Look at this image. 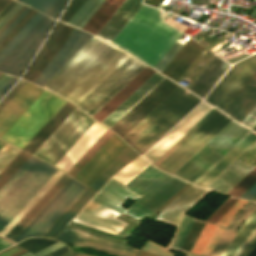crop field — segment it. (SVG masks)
<instances>
[{"label":"crop field","mask_w":256,"mask_h":256,"mask_svg":"<svg viewBox=\"0 0 256 256\" xmlns=\"http://www.w3.org/2000/svg\"><path fill=\"white\" fill-rule=\"evenodd\" d=\"M255 195H256V185L249 192H247L242 198L251 200Z\"/></svg>","instance_id":"crop-field-62"},{"label":"crop field","mask_w":256,"mask_h":256,"mask_svg":"<svg viewBox=\"0 0 256 256\" xmlns=\"http://www.w3.org/2000/svg\"><path fill=\"white\" fill-rule=\"evenodd\" d=\"M22 256H32V255H30V254H24V255H22Z\"/></svg>","instance_id":"crop-field-74"},{"label":"crop field","mask_w":256,"mask_h":256,"mask_svg":"<svg viewBox=\"0 0 256 256\" xmlns=\"http://www.w3.org/2000/svg\"><path fill=\"white\" fill-rule=\"evenodd\" d=\"M53 21L37 12L0 52V71L19 77Z\"/></svg>","instance_id":"crop-field-7"},{"label":"crop field","mask_w":256,"mask_h":256,"mask_svg":"<svg viewBox=\"0 0 256 256\" xmlns=\"http://www.w3.org/2000/svg\"><path fill=\"white\" fill-rule=\"evenodd\" d=\"M36 11L24 6L10 21L0 29V51L30 20Z\"/></svg>","instance_id":"crop-field-32"},{"label":"crop field","mask_w":256,"mask_h":256,"mask_svg":"<svg viewBox=\"0 0 256 256\" xmlns=\"http://www.w3.org/2000/svg\"><path fill=\"white\" fill-rule=\"evenodd\" d=\"M63 246H64L63 244L57 242V243H55V244H53V245H51V246H49V247H47V248L37 252L35 254H37L38 256H45V255H47V254H49V253H51V252H53V251L63 247Z\"/></svg>","instance_id":"crop-field-58"},{"label":"crop field","mask_w":256,"mask_h":256,"mask_svg":"<svg viewBox=\"0 0 256 256\" xmlns=\"http://www.w3.org/2000/svg\"><path fill=\"white\" fill-rule=\"evenodd\" d=\"M256 234V230L254 231V233L249 237V239L244 243V245L241 247V249L238 251V253L236 254V256H239V254L241 253V251L243 250V248L247 245V243L252 239V237Z\"/></svg>","instance_id":"crop-field-66"},{"label":"crop field","mask_w":256,"mask_h":256,"mask_svg":"<svg viewBox=\"0 0 256 256\" xmlns=\"http://www.w3.org/2000/svg\"><path fill=\"white\" fill-rule=\"evenodd\" d=\"M244 130V127L231 120L181 168H179L174 175L189 181ZM250 133L251 131L246 129L189 182L195 184Z\"/></svg>","instance_id":"crop-field-6"},{"label":"crop field","mask_w":256,"mask_h":256,"mask_svg":"<svg viewBox=\"0 0 256 256\" xmlns=\"http://www.w3.org/2000/svg\"><path fill=\"white\" fill-rule=\"evenodd\" d=\"M138 155L139 154L127 145L88 188L97 192L113 174Z\"/></svg>","instance_id":"crop-field-29"},{"label":"crop field","mask_w":256,"mask_h":256,"mask_svg":"<svg viewBox=\"0 0 256 256\" xmlns=\"http://www.w3.org/2000/svg\"><path fill=\"white\" fill-rule=\"evenodd\" d=\"M256 165V141L206 188L225 194Z\"/></svg>","instance_id":"crop-field-15"},{"label":"crop field","mask_w":256,"mask_h":256,"mask_svg":"<svg viewBox=\"0 0 256 256\" xmlns=\"http://www.w3.org/2000/svg\"><path fill=\"white\" fill-rule=\"evenodd\" d=\"M177 86L165 78L110 129L122 138Z\"/></svg>","instance_id":"crop-field-13"},{"label":"crop field","mask_w":256,"mask_h":256,"mask_svg":"<svg viewBox=\"0 0 256 256\" xmlns=\"http://www.w3.org/2000/svg\"><path fill=\"white\" fill-rule=\"evenodd\" d=\"M249 128H253L256 124V106L254 109L249 113V115L244 119V121L241 123Z\"/></svg>","instance_id":"crop-field-55"},{"label":"crop field","mask_w":256,"mask_h":256,"mask_svg":"<svg viewBox=\"0 0 256 256\" xmlns=\"http://www.w3.org/2000/svg\"><path fill=\"white\" fill-rule=\"evenodd\" d=\"M11 78V76H8L4 74L2 78L0 79V89L5 85V83Z\"/></svg>","instance_id":"crop-field-64"},{"label":"crop field","mask_w":256,"mask_h":256,"mask_svg":"<svg viewBox=\"0 0 256 256\" xmlns=\"http://www.w3.org/2000/svg\"><path fill=\"white\" fill-rule=\"evenodd\" d=\"M255 74L256 55L233 65L205 100L224 112Z\"/></svg>","instance_id":"crop-field-10"},{"label":"crop field","mask_w":256,"mask_h":256,"mask_svg":"<svg viewBox=\"0 0 256 256\" xmlns=\"http://www.w3.org/2000/svg\"><path fill=\"white\" fill-rule=\"evenodd\" d=\"M97 122V121H96ZM94 123L89 130L76 142V144L62 157L55 165L64 171H68L72 165L86 152V150L99 138L107 129L98 123ZM65 172V173H66Z\"/></svg>","instance_id":"crop-field-25"},{"label":"crop field","mask_w":256,"mask_h":256,"mask_svg":"<svg viewBox=\"0 0 256 256\" xmlns=\"http://www.w3.org/2000/svg\"><path fill=\"white\" fill-rule=\"evenodd\" d=\"M26 84L24 81H20L12 91L0 102V111L4 106L19 92V90Z\"/></svg>","instance_id":"crop-field-54"},{"label":"crop field","mask_w":256,"mask_h":256,"mask_svg":"<svg viewBox=\"0 0 256 256\" xmlns=\"http://www.w3.org/2000/svg\"><path fill=\"white\" fill-rule=\"evenodd\" d=\"M91 37L92 35L76 29L34 83L43 86Z\"/></svg>","instance_id":"crop-field-18"},{"label":"crop field","mask_w":256,"mask_h":256,"mask_svg":"<svg viewBox=\"0 0 256 256\" xmlns=\"http://www.w3.org/2000/svg\"><path fill=\"white\" fill-rule=\"evenodd\" d=\"M256 218V208L250 213V215L246 218L245 222L241 226V228L238 230L234 238L231 240L225 251L221 256H227L231 249L234 247V245L237 243V241L240 239V237L244 234V232L247 230V228L251 225V223Z\"/></svg>","instance_id":"crop-field-46"},{"label":"crop field","mask_w":256,"mask_h":256,"mask_svg":"<svg viewBox=\"0 0 256 256\" xmlns=\"http://www.w3.org/2000/svg\"><path fill=\"white\" fill-rule=\"evenodd\" d=\"M70 179L63 174L4 237L13 241Z\"/></svg>","instance_id":"crop-field-24"},{"label":"crop field","mask_w":256,"mask_h":256,"mask_svg":"<svg viewBox=\"0 0 256 256\" xmlns=\"http://www.w3.org/2000/svg\"><path fill=\"white\" fill-rule=\"evenodd\" d=\"M236 198L228 197L207 219L211 223L216 224L226 211L234 204Z\"/></svg>","instance_id":"crop-field-47"},{"label":"crop field","mask_w":256,"mask_h":256,"mask_svg":"<svg viewBox=\"0 0 256 256\" xmlns=\"http://www.w3.org/2000/svg\"><path fill=\"white\" fill-rule=\"evenodd\" d=\"M6 143L0 141V149L5 145Z\"/></svg>","instance_id":"crop-field-72"},{"label":"crop field","mask_w":256,"mask_h":256,"mask_svg":"<svg viewBox=\"0 0 256 256\" xmlns=\"http://www.w3.org/2000/svg\"><path fill=\"white\" fill-rule=\"evenodd\" d=\"M225 39V37H222V38H220L219 40H217L216 42H214L212 45H210L209 47H207V48H212L213 46H215L216 44H218L219 42H221L222 40H224Z\"/></svg>","instance_id":"crop-field-68"},{"label":"crop field","mask_w":256,"mask_h":256,"mask_svg":"<svg viewBox=\"0 0 256 256\" xmlns=\"http://www.w3.org/2000/svg\"><path fill=\"white\" fill-rule=\"evenodd\" d=\"M255 140H256V133L252 132L236 148H234L224 159H222L213 169H211L201 180H199L196 183V185L200 184L203 187H205L221 171H223L233 160H235L244 150H246Z\"/></svg>","instance_id":"crop-field-31"},{"label":"crop field","mask_w":256,"mask_h":256,"mask_svg":"<svg viewBox=\"0 0 256 256\" xmlns=\"http://www.w3.org/2000/svg\"><path fill=\"white\" fill-rule=\"evenodd\" d=\"M17 80V78L12 77L6 85L0 90V98L2 95L14 84V82Z\"/></svg>","instance_id":"crop-field-61"},{"label":"crop field","mask_w":256,"mask_h":256,"mask_svg":"<svg viewBox=\"0 0 256 256\" xmlns=\"http://www.w3.org/2000/svg\"><path fill=\"white\" fill-rule=\"evenodd\" d=\"M184 182L150 164L125 186L111 178L92 201L121 214L125 212L140 219L144 214L150 216L156 211L186 185L187 182ZM127 197L132 200L140 198L126 210L119 205Z\"/></svg>","instance_id":"crop-field-2"},{"label":"crop field","mask_w":256,"mask_h":256,"mask_svg":"<svg viewBox=\"0 0 256 256\" xmlns=\"http://www.w3.org/2000/svg\"><path fill=\"white\" fill-rule=\"evenodd\" d=\"M230 120L217 111L157 167L173 174Z\"/></svg>","instance_id":"crop-field-12"},{"label":"crop field","mask_w":256,"mask_h":256,"mask_svg":"<svg viewBox=\"0 0 256 256\" xmlns=\"http://www.w3.org/2000/svg\"><path fill=\"white\" fill-rule=\"evenodd\" d=\"M94 194L87 188L43 236L54 238Z\"/></svg>","instance_id":"crop-field-34"},{"label":"crop field","mask_w":256,"mask_h":256,"mask_svg":"<svg viewBox=\"0 0 256 256\" xmlns=\"http://www.w3.org/2000/svg\"><path fill=\"white\" fill-rule=\"evenodd\" d=\"M123 1L124 0H105L85 23L82 29L96 35Z\"/></svg>","instance_id":"crop-field-30"},{"label":"crop field","mask_w":256,"mask_h":256,"mask_svg":"<svg viewBox=\"0 0 256 256\" xmlns=\"http://www.w3.org/2000/svg\"><path fill=\"white\" fill-rule=\"evenodd\" d=\"M95 121L76 108L32 155L54 165Z\"/></svg>","instance_id":"crop-field-9"},{"label":"crop field","mask_w":256,"mask_h":256,"mask_svg":"<svg viewBox=\"0 0 256 256\" xmlns=\"http://www.w3.org/2000/svg\"><path fill=\"white\" fill-rule=\"evenodd\" d=\"M181 34L163 22L160 10L142 5L112 44L153 68Z\"/></svg>","instance_id":"crop-field-3"},{"label":"crop field","mask_w":256,"mask_h":256,"mask_svg":"<svg viewBox=\"0 0 256 256\" xmlns=\"http://www.w3.org/2000/svg\"><path fill=\"white\" fill-rule=\"evenodd\" d=\"M52 18H57L67 0H18Z\"/></svg>","instance_id":"crop-field-35"},{"label":"crop field","mask_w":256,"mask_h":256,"mask_svg":"<svg viewBox=\"0 0 256 256\" xmlns=\"http://www.w3.org/2000/svg\"><path fill=\"white\" fill-rule=\"evenodd\" d=\"M17 2L11 1L1 12H0V19L4 17L15 5Z\"/></svg>","instance_id":"crop-field-60"},{"label":"crop field","mask_w":256,"mask_h":256,"mask_svg":"<svg viewBox=\"0 0 256 256\" xmlns=\"http://www.w3.org/2000/svg\"><path fill=\"white\" fill-rule=\"evenodd\" d=\"M246 200L238 199L235 204L228 210V212L220 219L217 225L225 226L231 222L235 214L241 209V207L246 203Z\"/></svg>","instance_id":"crop-field-49"},{"label":"crop field","mask_w":256,"mask_h":256,"mask_svg":"<svg viewBox=\"0 0 256 256\" xmlns=\"http://www.w3.org/2000/svg\"><path fill=\"white\" fill-rule=\"evenodd\" d=\"M11 245H12V244H10V243H8V242H6V241L0 239V250L5 249V248H7V247H9V246H11Z\"/></svg>","instance_id":"crop-field-65"},{"label":"crop field","mask_w":256,"mask_h":256,"mask_svg":"<svg viewBox=\"0 0 256 256\" xmlns=\"http://www.w3.org/2000/svg\"><path fill=\"white\" fill-rule=\"evenodd\" d=\"M253 130H256V125H255V127L253 128Z\"/></svg>","instance_id":"crop-field-76"},{"label":"crop field","mask_w":256,"mask_h":256,"mask_svg":"<svg viewBox=\"0 0 256 256\" xmlns=\"http://www.w3.org/2000/svg\"><path fill=\"white\" fill-rule=\"evenodd\" d=\"M216 228V225L206 223L199 238L197 239L195 245L193 246L191 253L200 255V253L202 252L203 248L207 244L208 240L210 239Z\"/></svg>","instance_id":"crop-field-44"},{"label":"crop field","mask_w":256,"mask_h":256,"mask_svg":"<svg viewBox=\"0 0 256 256\" xmlns=\"http://www.w3.org/2000/svg\"><path fill=\"white\" fill-rule=\"evenodd\" d=\"M145 66L93 36L44 88L92 116Z\"/></svg>","instance_id":"crop-field-1"},{"label":"crop field","mask_w":256,"mask_h":256,"mask_svg":"<svg viewBox=\"0 0 256 256\" xmlns=\"http://www.w3.org/2000/svg\"><path fill=\"white\" fill-rule=\"evenodd\" d=\"M84 1L85 0H72L62 15L61 20L67 22Z\"/></svg>","instance_id":"crop-field-53"},{"label":"crop field","mask_w":256,"mask_h":256,"mask_svg":"<svg viewBox=\"0 0 256 256\" xmlns=\"http://www.w3.org/2000/svg\"><path fill=\"white\" fill-rule=\"evenodd\" d=\"M193 221H194L193 218H189L185 216L183 217L169 247L179 249Z\"/></svg>","instance_id":"crop-field-41"},{"label":"crop field","mask_w":256,"mask_h":256,"mask_svg":"<svg viewBox=\"0 0 256 256\" xmlns=\"http://www.w3.org/2000/svg\"><path fill=\"white\" fill-rule=\"evenodd\" d=\"M224 230H225L224 227L218 226L215 233L211 237L210 241L208 242V244L204 248L203 252L201 253L202 256H208L209 255V253L213 249L214 245L216 244V242L218 241V239L220 238V236H221V234L223 233Z\"/></svg>","instance_id":"crop-field-52"},{"label":"crop field","mask_w":256,"mask_h":256,"mask_svg":"<svg viewBox=\"0 0 256 256\" xmlns=\"http://www.w3.org/2000/svg\"><path fill=\"white\" fill-rule=\"evenodd\" d=\"M30 155L20 151L14 159L0 172V188L23 165Z\"/></svg>","instance_id":"crop-field-40"},{"label":"crop field","mask_w":256,"mask_h":256,"mask_svg":"<svg viewBox=\"0 0 256 256\" xmlns=\"http://www.w3.org/2000/svg\"><path fill=\"white\" fill-rule=\"evenodd\" d=\"M11 0H0V11L10 2Z\"/></svg>","instance_id":"crop-field-67"},{"label":"crop field","mask_w":256,"mask_h":256,"mask_svg":"<svg viewBox=\"0 0 256 256\" xmlns=\"http://www.w3.org/2000/svg\"><path fill=\"white\" fill-rule=\"evenodd\" d=\"M204 1V0H203Z\"/></svg>","instance_id":"crop-field-78"},{"label":"crop field","mask_w":256,"mask_h":256,"mask_svg":"<svg viewBox=\"0 0 256 256\" xmlns=\"http://www.w3.org/2000/svg\"><path fill=\"white\" fill-rule=\"evenodd\" d=\"M103 1L104 0H86L70 18L68 23L81 28Z\"/></svg>","instance_id":"crop-field-37"},{"label":"crop field","mask_w":256,"mask_h":256,"mask_svg":"<svg viewBox=\"0 0 256 256\" xmlns=\"http://www.w3.org/2000/svg\"><path fill=\"white\" fill-rule=\"evenodd\" d=\"M255 180H256V166L247 175H245L233 188H231L226 194L238 197Z\"/></svg>","instance_id":"crop-field-42"},{"label":"crop field","mask_w":256,"mask_h":256,"mask_svg":"<svg viewBox=\"0 0 256 256\" xmlns=\"http://www.w3.org/2000/svg\"><path fill=\"white\" fill-rule=\"evenodd\" d=\"M71 256H87V255H83V254H79L71 251Z\"/></svg>","instance_id":"crop-field-70"},{"label":"crop field","mask_w":256,"mask_h":256,"mask_svg":"<svg viewBox=\"0 0 256 256\" xmlns=\"http://www.w3.org/2000/svg\"><path fill=\"white\" fill-rule=\"evenodd\" d=\"M253 201H256V196L252 199Z\"/></svg>","instance_id":"crop-field-75"},{"label":"crop field","mask_w":256,"mask_h":256,"mask_svg":"<svg viewBox=\"0 0 256 256\" xmlns=\"http://www.w3.org/2000/svg\"><path fill=\"white\" fill-rule=\"evenodd\" d=\"M31 156L0 189V231L57 171Z\"/></svg>","instance_id":"crop-field-5"},{"label":"crop field","mask_w":256,"mask_h":256,"mask_svg":"<svg viewBox=\"0 0 256 256\" xmlns=\"http://www.w3.org/2000/svg\"><path fill=\"white\" fill-rule=\"evenodd\" d=\"M183 45L184 43L177 40L175 44L169 49V51L156 64L154 69L161 72L163 68L169 63V61L175 56V54L181 49Z\"/></svg>","instance_id":"crop-field-48"},{"label":"crop field","mask_w":256,"mask_h":256,"mask_svg":"<svg viewBox=\"0 0 256 256\" xmlns=\"http://www.w3.org/2000/svg\"><path fill=\"white\" fill-rule=\"evenodd\" d=\"M19 152V150L5 145L0 150V171L13 159V157Z\"/></svg>","instance_id":"crop-field-50"},{"label":"crop field","mask_w":256,"mask_h":256,"mask_svg":"<svg viewBox=\"0 0 256 256\" xmlns=\"http://www.w3.org/2000/svg\"><path fill=\"white\" fill-rule=\"evenodd\" d=\"M117 215L118 213L90 201L73 221L116 234L126 225L114 218Z\"/></svg>","instance_id":"crop-field-21"},{"label":"crop field","mask_w":256,"mask_h":256,"mask_svg":"<svg viewBox=\"0 0 256 256\" xmlns=\"http://www.w3.org/2000/svg\"><path fill=\"white\" fill-rule=\"evenodd\" d=\"M25 252L24 250L14 246L8 250H5L3 252L0 253V256H17L21 253Z\"/></svg>","instance_id":"crop-field-59"},{"label":"crop field","mask_w":256,"mask_h":256,"mask_svg":"<svg viewBox=\"0 0 256 256\" xmlns=\"http://www.w3.org/2000/svg\"><path fill=\"white\" fill-rule=\"evenodd\" d=\"M204 48L190 38L161 73L177 82Z\"/></svg>","instance_id":"crop-field-23"},{"label":"crop field","mask_w":256,"mask_h":256,"mask_svg":"<svg viewBox=\"0 0 256 256\" xmlns=\"http://www.w3.org/2000/svg\"><path fill=\"white\" fill-rule=\"evenodd\" d=\"M0 75H1V73H0Z\"/></svg>","instance_id":"crop-field-77"},{"label":"crop field","mask_w":256,"mask_h":256,"mask_svg":"<svg viewBox=\"0 0 256 256\" xmlns=\"http://www.w3.org/2000/svg\"><path fill=\"white\" fill-rule=\"evenodd\" d=\"M115 135L113 134L107 140V142L94 154V156L73 178L87 187L94 181V179L127 145Z\"/></svg>","instance_id":"crop-field-14"},{"label":"crop field","mask_w":256,"mask_h":256,"mask_svg":"<svg viewBox=\"0 0 256 256\" xmlns=\"http://www.w3.org/2000/svg\"><path fill=\"white\" fill-rule=\"evenodd\" d=\"M172 250H174V249H172ZM183 253H185V252H183ZM185 254H187V256H196V255H192V254H188V253H185Z\"/></svg>","instance_id":"crop-field-73"},{"label":"crop field","mask_w":256,"mask_h":256,"mask_svg":"<svg viewBox=\"0 0 256 256\" xmlns=\"http://www.w3.org/2000/svg\"><path fill=\"white\" fill-rule=\"evenodd\" d=\"M143 249V248H142ZM143 251H147L150 253H154L161 256H172L167 248L160 246L156 243L149 241L147 245L144 247Z\"/></svg>","instance_id":"crop-field-51"},{"label":"crop field","mask_w":256,"mask_h":256,"mask_svg":"<svg viewBox=\"0 0 256 256\" xmlns=\"http://www.w3.org/2000/svg\"><path fill=\"white\" fill-rule=\"evenodd\" d=\"M208 192V190L191 185L165 207L156 220L177 226L182 214Z\"/></svg>","instance_id":"crop-field-22"},{"label":"crop field","mask_w":256,"mask_h":256,"mask_svg":"<svg viewBox=\"0 0 256 256\" xmlns=\"http://www.w3.org/2000/svg\"><path fill=\"white\" fill-rule=\"evenodd\" d=\"M62 174L63 173L58 170L52 176V178L37 192V194L22 208V210L7 224V226L0 232V234L4 236Z\"/></svg>","instance_id":"crop-field-36"},{"label":"crop field","mask_w":256,"mask_h":256,"mask_svg":"<svg viewBox=\"0 0 256 256\" xmlns=\"http://www.w3.org/2000/svg\"><path fill=\"white\" fill-rule=\"evenodd\" d=\"M23 5L17 4L4 18L0 20V28L9 20L11 19L21 8Z\"/></svg>","instance_id":"crop-field-56"},{"label":"crop field","mask_w":256,"mask_h":256,"mask_svg":"<svg viewBox=\"0 0 256 256\" xmlns=\"http://www.w3.org/2000/svg\"><path fill=\"white\" fill-rule=\"evenodd\" d=\"M75 108L76 107L66 102L45 124V126L30 140L23 150L32 154Z\"/></svg>","instance_id":"crop-field-28"},{"label":"crop field","mask_w":256,"mask_h":256,"mask_svg":"<svg viewBox=\"0 0 256 256\" xmlns=\"http://www.w3.org/2000/svg\"><path fill=\"white\" fill-rule=\"evenodd\" d=\"M217 110L214 108L206 114L196 125H194L184 136H182L172 147H170L160 158H158L153 164L156 166L164 160L174 149H176L186 138H188L198 127H200L210 116H212Z\"/></svg>","instance_id":"crop-field-43"},{"label":"crop field","mask_w":256,"mask_h":256,"mask_svg":"<svg viewBox=\"0 0 256 256\" xmlns=\"http://www.w3.org/2000/svg\"><path fill=\"white\" fill-rule=\"evenodd\" d=\"M44 91L27 83L0 112V137Z\"/></svg>","instance_id":"crop-field-19"},{"label":"crop field","mask_w":256,"mask_h":256,"mask_svg":"<svg viewBox=\"0 0 256 256\" xmlns=\"http://www.w3.org/2000/svg\"><path fill=\"white\" fill-rule=\"evenodd\" d=\"M73 229L65 227L55 239L120 256H135L138 252V249L124 246Z\"/></svg>","instance_id":"crop-field-16"},{"label":"crop field","mask_w":256,"mask_h":256,"mask_svg":"<svg viewBox=\"0 0 256 256\" xmlns=\"http://www.w3.org/2000/svg\"><path fill=\"white\" fill-rule=\"evenodd\" d=\"M149 164L150 163L139 156L112 178L125 185Z\"/></svg>","instance_id":"crop-field-38"},{"label":"crop field","mask_w":256,"mask_h":256,"mask_svg":"<svg viewBox=\"0 0 256 256\" xmlns=\"http://www.w3.org/2000/svg\"><path fill=\"white\" fill-rule=\"evenodd\" d=\"M184 91L178 86L122 139L143 154L201 101Z\"/></svg>","instance_id":"crop-field-4"},{"label":"crop field","mask_w":256,"mask_h":256,"mask_svg":"<svg viewBox=\"0 0 256 256\" xmlns=\"http://www.w3.org/2000/svg\"><path fill=\"white\" fill-rule=\"evenodd\" d=\"M55 242L57 241L50 240V239H42V238H30L17 245L35 253Z\"/></svg>","instance_id":"crop-field-45"},{"label":"crop field","mask_w":256,"mask_h":256,"mask_svg":"<svg viewBox=\"0 0 256 256\" xmlns=\"http://www.w3.org/2000/svg\"><path fill=\"white\" fill-rule=\"evenodd\" d=\"M212 108L213 107L202 102L162 140H160L150 151H148L144 157L153 163Z\"/></svg>","instance_id":"crop-field-20"},{"label":"crop field","mask_w":256,"mask_h":256,"mask_svg":"<svg viewBox=\"0 0 256 256\" xmlns=\"http://www.w3.org/2000/svg\"><path fill=\"white\" fill-rule=\"evenodd\" d=\"M256 105V75L232 102V104L224 112L238 122L243 119Z\"/></svg>","instance_id":"crop-field-27"},{"label":"crop field","mask_w":256,"mask_h":256,"mask_svg":"<svg viewBox=\"0 0 256 256\" xmlns=\"http://www.w3.org/2000/svg\"><path fill=\"white\" fill-rule=\"evenodd\" d=\"M256 203L247 202V204L242 208V210L237 214V216L232 220L229 226L224 231L223 235L217 242L216 246L212 250L209 256H220L232 237L237 232L239 226L244 221V219L249 215V213L255 208Z\"/></svg>","instance_id":"crop-field-33"},{"label":"crop field","mask_w":256,"mask_h":256,"mask_svg":"<svg viewBox=\"0 0 256 256\" xmlns=\"http://www.w3.org/2000/svg\"><path fill=\"white\" fill-rule=\"evenodd\" d=\"M256 184V181L246 190L244 191L240 196L239 198H241L248 190H250L254 185Z\"/></svg>","instance_id":"crop-field-69"},{"label":"crop field","mask_w":256,"mask_h":256,"mask_svg":"<svg viewBox=\"0 0 256 256\" xmlns=\"http://www.w3.org/2000/svg\"><path fill=\"white\" fill-rule=\"evenodd\" d=\"M202 34H204V33H202L201 31L200 32H198L197 34H195L192 38H197V37H199V36H201Z\"/></svg>","instance_id":"crop-field-71"},{"label":"crop field","mask_w":256,"mask_h":256,"mask_svg":"<svg viewBox=\"0 0 256 256\" xmlns=\"http://www.w3.org/2000/svg\"><path fill=\"white\" fill-rule=\"evenodd\" d=\"M67 251H69V249H68L67 246H65V247H63V248H61V249H59V250H57V251H55V252H53V253L47 255V256H59V255L65 253V252H67Z\"/></svg>","instance_id":"crop-field-63"},{"label":"crop field","mask_w":256,"mask_h":256,"mask_svg":"<svg viewBox=\"0 0 256 256\" xmlns=\"http://www.w3.org/2000/svg\"><path fill=\"white\" fill-rule=\"evenodd\" d=\"M112 134L113 132L107 129L66 174L73 177Z\"/></svg>","instance_id":"crop-field-39"},{"label":"crop field","mask_w":256,"mask_h":256,"mask_svg":"<svg viewBox=\"0 0 256 256\" xmlns=\"http://www.w3.org/2000/svg\"><path fill=\"white\" fill-rule=\"evenodd\" d=\"M85 189V186L71 179L14 242L27 237L42 236Z\"/></svg>","instance_id":"crop-field-11"},{"label":"crop field","mask_w":256,"mask_h":256,"mask_svg":"<svg viewBox=\"0 0 256 256\" xmlns=\"http://www.w3.org/2000/svg\"><path fill=\"white\" fill-rule=\"evenodd\" d=\"M74 30L75 28L63 22H58L56 28L37 55L31 68L25 74L24 79L33 82Z\"/></svg>","instance_id":"crop-field-17"},{"label":"crop field","mask_w":256,"mask_h":256,"mask_svg":"<svg viewBox=\"0 0 256 256\" xmlns=\"http://www.w3.org/2000/svg\"><path fill=\"white\" fill-rule=\"evenodd\" d=\"M256 248V235L253 237V239L248 243V245L244 248L240 256H250V254L254 251Z\"/></svg>","instance_id":"crop-field-57"},{"label":"crop field","mask_w":256,"mask_h":256,"mask_svg":"<svg viewBox=\"0 0 256 256\" xmlns=\"http://www.w3.org/2000/svg\"><path fill=\"white\" fill-rule=\"evenodd\" d=\"M65 102L45 90L0 139L22 149Z\"/></svg>","instance_id":"crop-field-8"},{"label":"crop field","mask_w":256,"mask_h":256,"mask_svg":"<svg viewBox=\"0 0 256 256\" xmlns=\"http://www.w3.org/2000/svg\"><path fill=\"white\" fill-rule=\"evenodd\" d=\"M154 72V70L146 66L92 117L101 122Z\"/></svg>","instance_id":"crop-field-26"}]
</instances>
